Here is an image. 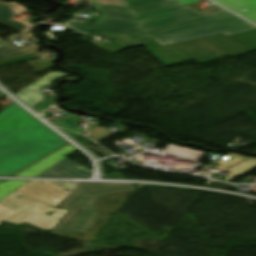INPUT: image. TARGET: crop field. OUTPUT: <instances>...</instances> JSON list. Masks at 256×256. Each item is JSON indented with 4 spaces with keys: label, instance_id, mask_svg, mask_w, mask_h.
<instances>
[{
    "label": "crop field",
    "instance_id": "crop-field-18",
    "mask_svg": "<svg viewBox=\"0 0 256 256\" xmlns=\"http://www.w3.org/2000/svg\"><path fill=\"white\" fill-rule=\"evenodd\" d=\"M6 97L2 92H0V98Z\"/></svg>",
    "mask_w": 256,
    "mask_h": 256
},
{
    "label": "crop field",
    "instance_id": "crop-field-8",
    "mask_svg": "<svg viewBox=\"0 0 256 256\" xmlns=\"http://www.w3.org/2000/svg\"><path fill=\"white\" fill-rule=\"evenodd\" d=\"M68 76V74H63L59 72H51L47 74L46 76L42 77L35 83L31 84L27 88L23 89L16 95L19 96L23 101H25L28 105L31 107L36 105L38 102H40L43 98H41L39 95L34 93L33 91L39 88H43L49 84L55 79L62 78ZM18 97V98H19Z\"/></svg>",
    "mask_w": 256,
    "mask_h": 256
},
{
    "label": "crop field",
    "instance_id": "crop-field-14",
    "mask_svg": "<svg viewBox=\"0 0 256 256\" xmlns=\"http://www.w3.org/2000/svg\"><path fill=\"white\" fill-rule=\"evenodd\" d=\"M89 132V137L94 141H99L102 138L106 137L108 134H110L108 130L105 131V129L100 126H96L93 130Z\"/></svg>",
    "mask_w": 256,
    "mask_h": 256
},
{
    "label": "crop field",
    "instance_id": "crop-field-6",
    "mask_svg": "<svg viewBox=\"0 0 256 256\" xmlns=\"http://www.w3.org/2000/svg\"><path fill=\"white\" fill-rule=\"evenodd\" d=\"M92 170L65 159L38 177L47 178H89Z\"/></svg>",
    "mask_w": 256,
    "mask_h": 256
},
{
    "label": "crop field",
    "instance_id": "crop-field-12",
    "mask_svg": "<svg viewBox=\"0 0 256 256\" xmlns=\"http://www.w3.org/2000/svg\"><path fill=\"white\" fill-rule=\"evenodd\" d=\"M228 37L251 50L252 52L256 51V30L246 31Z\"/></svg>",
    "mask_w": 256,
    "mask_h": 256
},
{
    "label": "crop field",
    "instance_id": "crop-field-15",
    "mask_svg": "<svg viewBox=\"0 0 256 256\" xmlns=\"http://www.w3.org/2000/svg\"><path fill=\"white\" fill-rule=\"evenodd\" d=\"M54 99H55V94L50 96L48 99H46L43 103H41L39 106H37L34 109L37 110L40 113L44 109H46L48 106L52 105L54 103Z\"/></svg>",
    "mask_w": 256,
    "mask_h": 256
},
{
    "label": "crop field",
    "instance_id": "crop-field-7",
    "mask_svg": "<svg viewBox=\"0 0 256 256\" xmlns=\"http://www.w3.org/2000/svg\"><path fill=\"white\" fill-rule=\"evenodd\" d=\"M26 12L23 6L17 3L5 4L0 1V23L20 33L30 29V27L23 20L15 21L14 18L19 17L17 14Z\"/></svg>",
    "mask_w": 256,
    "mask_h": 256
},
{
    "label": "crop field",
    "instance_id": "crop-field-19",
    "mask_svg": "<svg viewBox=\"0 0 256 256\" xmlns=\"http://www.w3.org/2000/svg\"><path fill=\"white\" fill-rule=\"evenodd\" d=\"M0 182H2V181H0Z\"/></svg>",
    "mask_w": 256,
    "mask_h": 256
},
{
    "label": "crop field",
    "instance_id": "crop-field-2",
    "mask_svg": "<svg viewBox=\"0 0 256 256\" xmlns=\"http://www.w3.org/2000/svg\"><path fill=\"white\" fill-rule=\"evenodd\" d=\"M66 144L15 102L0 113V176H14Z\"/></svg>",
    "mask_w": 256,
    "mask_h": 256
},
{
    "label": "crop field",
    "instance_id": "crop-field-5",
    "mask_svg": "<svg viewBox=\"0 0 256 256\" xmlns=\"http://www.w3.org/2000/svg\"><path fill=\"white\" fill-rule=\"evenodd\" d=\"M76 151L78 150L68 144L50 154L46 158L42 159L41 161L30 166L29 168L23 170L17 174L16 177H36Z\"/></svg>",
    "mask_w": 256,
    "mask_h": 256
},
{
    "label": "crop field",
    "instance_id": "crop-field-10",
    "mask_svg": "<svg viewBox=\"0 0 256 256\" xmlns=\"http://www.w3.org/2000/svg\"><path fill=\"white\" fill-rule=\"evenodd\" d=\"M65 117L67 118L62 121L58 120L53 124H55L57 127L65 131L67 134H69L73 138H77L82 134H84L81 128L77 125L80 120L78 116L69 114Z\"/></svg>",
    "mask_w": 256,
    "mask_h": 256
},
{
    "label": "crop field",
    "instance_id": "crop-field-13",
    "mask_svg": "<svg viewBox=\"0 0 256 256\" xmlns=\"http://www.w3.org/2000/svg\"><path fill=\"white\" fill-rule=\"evenodd\" d=\"M29 181H5L0 184V200Z\"/></svg>",
    "mask_w": 256,
    "mask_h": 256
},
{
    "label": "crop field",
    "instance_id": "crop-field-16",
    "mask_svg": "<svg viewBox=\"0 0 256 256\" xmlns=\"http://www.w3.org/2000/svg\"><path fill=\"white\" fill-rule=\"evenodd\" d=\"M103 178L125 179L123 174L120 172L104 175Z\"/></svg>",
    "mask_w": 256,
    "mask_h": 256
},
{
    "label": "crop field",
    "instance_id": "crop-field-9",
    "mask_svg": "<svg viewBox=\"0 0 256 256\" xmlns=\"http://www.w3.org/2000/svg\"><path fill=\"white\" fill-rule=\"evenodd\" d=\"M256 23V0H214ZM248 9L245 12L242 9Z\"/></svg>",
    "mask_w": 256,
    "mask_h": 256
},
{
    "label": "crop field",
    "instance_id": "crop-field-1",
    "mask_svg": "<svg viewBox=\"0 0 256 256\" xmlns=\"http://www.w3.org/2000/svg\"><path fill=\"white\" fill-rule=\"evenodd\" d=\"M88 1L102 17L95 20V25H68L110 37L114 41L107 44L92 43L109 52L144 44L167 67L191 60L207 63L251 52L226 35L256 26L224 10L205 16L175 0Z\"/></svg>",
    "mask_w": 256,
    "mask_h": 256
},
{
    "label": "crop field",
    "instance_id": "crop-field-11",
    "mask_svg": "<svg viewBox=\"0 0 256 256\" xmlns=\"http://www.w3.org/2000/svg\"><path fill=\"white\" fill-rule=\"evenodd\" d=\"M39 47L36 44L20 47L14 49L11 45L7 44L5 41H0V60L39 51Z\"/></svg>",
    "mask_w": 256,
    "mask_h": 256
},
{
    "label": "crop field",
    "instance_id": "crop-field-17",
    "mask_svg": "<svg viewBox=\"0 0 256 256\" xmlns=\"http://www.w3.org/2000/svg\"><path fill=\"white\" fill-rule=\"evenodd\" d=\"M177 1H179V2H181L183 4H185V5H192V4H194L196 2H199L201 0H177Z\"/></svg>",
    "mask_w": 256,
    "mask_h": 256
},
{
    "label": "crop field",
    "instance_id": "crop-field-4",
    "mask_svg": "<svg viewBox=\"0 0 256 256\" xmlns=\"http://www.w3.org/2000/svg\"><path fill=\"white\" fill-rule=\"evenodd\" d=\"M134 190L132 184L78 183L57 207L69 210L51 230L54 233L83 232L90 228L99 213H93L98 196Z\"/></svg>",
    "mask_w": 256,
    "mask_h": 256
},
{
    "label": "crop field",
    "instance_id": "crop-field-3",
    "mask_svg": "<svg viewBox=\"0 0 256 256\" xmlns=\"http://www.w3.org/2000/svg\"><path fill=\"white\" fill-rule=\"evenodd\" d=\"M64 185L63 187L59 186ZM75 183L69 182H40L30 181L17 191L0 201V222H10L22 225L24 223L49 232L63 217L67 210L54 208L53 216L44 214L48 212L62 197L68 193ZM39 194L36 196L32 194ZM22 194L19 199L16 196Z\"/></svg>",
    "mask_w": 256,
    "mask_h": 256
}]
</instances>
